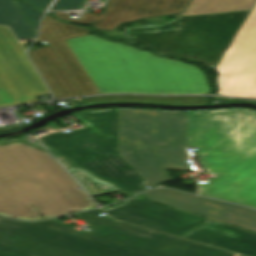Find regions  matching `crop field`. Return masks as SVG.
Listing matches in <instances>:
<instances>
[{
    "label": "crop field",
    "mask_w": 256,
    "mask_h": 256,
    "mask_svg": "<svg viewBox=\"0 0 256 256\" xmlns=\"http://www.w3.org/2000/svg\"><path fill=\"white\" fill-rule=\"evenodd\" d=\"M187 147H196L203 168L217 175L198 184L200 195L256 209V112H188Z\"/></svg>",
    "instance_id": "8a807250"
},
{
    "label": "crop field",
    "mask_w": 256,
    "mask_h": 256,
    "mask_svg": "<svg viewBox=\"0 0 256 256\" xmlns=\"http://www.w3.org/2000/svg\"><path fill=\"white\" fill-rule=\"evenodd\" d=\"M99 93L203 94L202 72L93 35L65 40Z\"/></svg>",
    "instance_id": "ac0d7876"
},
{
    "label": "crop field",
    "mask_w": 256,
    "mask_h": 256,
    "mask_svg": "<svg viewBox=\"0 0 256 256\" xmlns=\"http://www.w3.org/2000/svg\"><path fill=\"white\" fill-rule=\"evenodd\" d=\"M78 214L93 230L77 232L57 218L36 222L60 229L26 256H240L184 239L99 217Z\"/></svg>",
    "instance_id": "34b2d1b8"
},
{
    "label": "crop field",
    "mask_w": 256,
    "mask_h": 256,
    "mask_svg": "<svg viewBox=\"0 0 256 256\" xmlns=\"http://www.w3.org/2000/svg\"><path fill=\"white\" fill-rule=\"evenodd\" d=\"M182 112L119 109V155L153 188L174 180L165 169L191 170L184 153Z\"/></svg>",
    "instance_id": "412701ff"
},
{
    "label": "crop field",
    "mask_w": 256,
    "mask_h": 256,
    "mask_svg": "<svg viewBox=\"0 0 256 256\" xmlns=\"http://www.w3.org/2000/svg\"><path fill=\"white\" fill-rule=\"evenodd\" d=\"M248 11L183 17L171 24L183 28H143L121 33L132 43L175 58L196 60L208 67L217 62Z\"/></svg>",
    "instance_id": "f4fd0767"
},
{
    "label": "crop field",
    "mask_w": 256,
    "mask_h": 256,
    "mask_svg": "<svg viewBox=\"0 0 256 256\" xmlns=\"http://www.w3.org/2000/svg\"><path fill=\"white\" fill-rule=\"evenodd\" d=\"M50 162L46 151L20 142L0 147V215L43 219L30 203L66 194L40 166Z\"/></svg>",
    "instance_id": "dd49c442"
},
{
    "label": "crop field",
    "mask_w": 256,
    "mask_h": 256,
    "mask_svg": "<svg viewBox=\"0 0 256 256\" xmlns=\"http://www.w3.org/2000/svg\"><path fill=\"white\" fill-rule=\"evenodd\" d=\"M215 69L216 94L256 98V4Z\"/></svg>",
    "instance_id": "e52e79f7"
},
{
    "label": "crop field",
    "mask_w": 256,
    "mask_h": 256,
    "mask_svg": "<svg viewBox=\"0 0 256 256\" xmlns=\"http://www.w3.org/2000/svg\"><path fill=\"white\" fill-rule=\"evenodd\" d=\"M49 93L23 49L9 30L0 26V106L35 102Z\"/></svg>",
    "instance_id": "d8731c3e"
},
{
    "label": "crop field",
    "mask_w": 256,
    "mask_h": 256,
    "mask_svg": "<svg viewBox=\"0 0 256 256\" xmlns=\"http://www.w3.org/2000/svg\"><path fill=\"white\" fill-rule=\"evenodd\" d=\"M75 117L85 123L84 129L58 132L38 140L67 158L111 149L117 152L118 109L85 112Z\"/></svg>",
    "instance_id": "5a996713"
},
{
    "label": "crop field",
    "mask_w": 256,
    "mask_h": 256,
    "mask_svg": "<svg viewBox=\"0 0 256 256\" xmlns=\"http://www.w3.org/2000/svg\"><path fill=\"white\" fill-rule=\"evenodd\" d=\"M189 0H108L99 17L84 12L83 17L71 19L65 13L52 14L67 22L84 23L100 30H112L120 23L158 15H177Z\"/></svg>",
    "instance_id": "3316defc"
},
{
    "label": "crop field",
    "mask_w": 256,
    "mask_h": 256,
    "mask_svg": "<svg viewBox=\"0 0 256 256\" xmlns=\"http://www.w3.org/2000/svg\"><path fill=\"white\" fill-rule=\"evenodd\" d=\"M146 199L256 232V212L235 205L167 189L144 193Z\"/></svg>",
    "instance_id": "28ad6ade"
},
{
    "label": "crop field",
    "mask_w": 256,
    "mask_h": 256,
    "mask_svg": "<svg viewBox=\"0 0 256 256\" xmlns=\"http://www.w3.org/2000/svg\"><path fill=\"white\" fill-rule=\"evenodd\" d=\"M105 211L114 218L179 237L209 221L136 198Z\"/></svg>",
    "instance_id": "d1516ede"
},
{
    "label": "crop field",
    "mask_w": 256,
    "mask_h": 256,
    "mask_svg": "<svg viewBox=\"0 0 256 256\" xmlns=\"http://www.w3.org/2000/svg\"><path fill=\"white\" fill-rule=\"evenodd\" d=\"M88 30L90 29L62 23L50 15H45L38 39V41L44 40L50 44L82 95L95 94L98 91L64 40L84 36Z\"/></svg>",
    "instance_id": "22f410ed"
},
{
    "label": "crop field",
    "mask_w": 256,
    "mask_h": 256,
    "mask_svg": "<svg viewBox=\"0 0 256 256\" xmlns=\"http://www.w3.org/2000/svg\"><path fill=\"white\" fill-rule=\"evenodd\" d=\"M75 166L84 167L101 179L133 194L141 192L146 182L114 150L69 159Z\"/></svg>",
    "instance_id": "cbeb9de0"
},
{
    "label": "crop field",
    "mask_w": 256,
    "mask_h": 256,
    "mask_svg": "<svg viewBox=\"0 0 256 256\" xmlns=\"http://www.w3.org/2000/svg\"><path fill=\"white\" fill-rule=\"evenodd\" d=\"M55 181L68 193L66 195L32 203L39 213L46 218L79 212L96 205L77 183L56 163L42 165Z\"/></svg>",
    "instance_id": "5142ce71"
},
{
    "label": "crop field",
    "mask_w": 256,
    "mask_h": 256,
    "mask_svg": "<svg viewBox=\"0 0 256 256\" xmlns=\"http://www.w3.org/2000/svg\"><path fill=\"white\" fill-rule=\"evenodd\" d=\"M58 229L0 218V256H25Z\"/></svg>",
    "instance_id": "d9b57169"
},
{
    "label": "crop field",
    "mask_w": 256,
    "mask_h": 256,
    "mask_svg": "<svg viewBox=\"0 0 256 256\" xmlns=\"http://www.w3.org/2000/svg\"><path fill=\"white\" fill-rule=\"evenodd\" d=\"M184 238L233 252L256 256V234L212 221Z\"/></svg>",
    "instance_id": "733c2abd"
},
{
    "label": "crop field",
    "mask_w": 256,
    "mask_h": 256,
    "mask_svg": "<svg viewBox=\"0 0 256 256\" xmlns=\"http://www.w3.org/2000/svg\"><path fill=\"white\" fill-rule=\"evenodd\" d=\"M28 53L55 98L81 95L50 46Z\"/></svg>",
    "instance_id": "4a817a6b"
},
{
    "label": "crop field",
    "mask_w": 256,
    "mask_h": 256,
    "mask_svg": "<svg viewBox=\"0 0 256 256\" xmlns=\"http://www.w3.org/2000/svg\"><path fill=\"white\" fill-rule=\"evenodd\" d=\"M256 0H192L184 13L191 16L220 12L250 10Z\"/></svg>",
    "instance_id": "bc2a9ffb"
},
{
    "label": "crop field",
    "mask_w": 256,
    "mask_h": 256,
    "mask_svg": "<svg viewBox=\"0 0 256 256\" xmlns=\"http://www.w3.org/2000/svg\"><path fill=\"white\" fill-rule=\"evenodd\" d=\"M0 24L8 25L17 39L36 37L12 0H0Z\"/></svg>",
    "instance_id": "214f88e0"
},
{
    "label": "crop field",
    "mask_w": 256,
    "mask_h": 256,
    "mask_svg": "<svg viewBox=\"0 0 256 256\" xmlns=\"http://www.w3.org/2000/svg\"><path fill=\"white\" fill-rule=\"evenodd\" d=\"M86 103L95 102H112V101H143L163 104H205V97H187V96H173V97H152V96H135V95H121V96H97L84 98Z\"/></svg>",
    "instance_id": "92a150f3"
},
{
    "label": "crop field",
    "mask_w": 256,
    "mask_h": 256,
    "mask_svg": "<svg viewBox=\"0 0 256 256\" xmlns=\"http://www.w3.org/2000/svg\"><path fill=\"white\" fill-rule=\"evenodd\" d=\"M68 170L78 179L81 185L91 194L92 197L121 191L111 183L104 182L83 169L75 167Z\"/></svg>",
    "instance_id": "dafd665d"
},
{
    "label": "crop field",
    "mask_w": 256,
    "mask_h": 256,
    "mask_svg": "<svg viewBox=\"0 0 256 256\" xmlns=\"http://www.w3.org/2000/svg\"><path fill=\"white\" fill-rule=\"evenodd\" d=\"M16 6L19 8L27 22L30 24L34 32L37 34V28L39 24V19L42 14H40L37 10H35L33 7L25 4L20 3L18 1H14Z\"/></svg>",
    "instance_id": "00972430"
},
{
    "label": "crop field",
    "mask_w": 256,
    "mask_h": 256,
    "mask_svg": "<svg viewBox=\"0 0 256 256\" xmlns=\"http://www.w3.org/2000/svg\"><path fill=\"white\" fill-rule=\"evenodd\" d=\"M83 0H55L49 10L80 9Z\"/></svg>",
    "instance_id": "a9b5d70f"
},
{
    "label": "crop field",
    "mask_w": 256,
    "mask_h": 256,
    "mask_svg": "<svg viewBox=\"0 0 256 256\" xmlns=\"http://www.w3.org/2000/svg\"><path fill=\"white\" fill-rule=\"evenodd\" d=\"M27 2H29L30 4L36 6L39 10H41L42 12H44V10L46 9V7L48 6V4L52 1V0H25Z\"/></svg>",
    "instance_id": "4177f3b9"
},
{
    "label": "crop field",
    "mask_w": 256,
    "mask_h": 256,
    "mask_svg": "<svg viewBox=\"0 0 256 256\" xmlns=\"http://www.w3.org/2000/svg\"><path fill=\"white\" fill-rule=\"evenodd\" d=\"M212 100H218V101H221V100H224V101H249V100L229 99V98H220V97H214ZM252 102H255V101H252Z\"/></svg>",
    "instance_id": "730fd06b"
},
{
    "label": "crop field",
    "mask_w": 256,
    "mask_h": 256,
    "mask_svg": "<svg viewBox=\"0 0 256 256\" xmlns=\"http://www.w3.org/2000/svg\"><path fill=\"white\" fill-rule=\"evenodd\" d=\"M23 126H25V125H23ZM14 129H17V128H15V127H3V128H0V132H6V131L14 130Z\"/></svg>",
    "instance_id": "eef30255"
},
{
    "label": "crop field",
    "mask_w": 256,
    "mask_h": 256,
    "mask_svg": "<svg viewBox=\"0 0 256 256\" xmlns=\"http://www.w3.org/2000/svg\"><path fill=\"white\" fill-rule=\"evenodd\" d=\"M167 26L172 27L173 30H181V28L175 27V26H173V25H171V24H166V25H163V26H161V27H167ZM140 28H143V27H140Z\"/></svg>",
    "instance_id": "ae1a2a85"
}]
</instances>
